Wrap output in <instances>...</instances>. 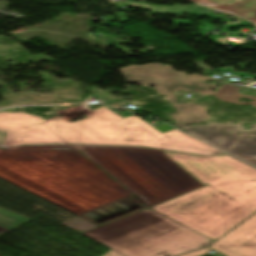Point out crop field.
Instances as JSON below:
<instances>
[{"instance_id":"crop-field-1","label":"crop field","mask_w":256,"mask_h":256,"mask_svg":"<svg viewBox=\"0 0 256 256\" xmlns=\"http://www.w3.org/2000/svg\"><path fill=\"white\" fill-rule=\"evenodd\" d=\"M163 152L206 187L151 209L214 241L256 212L255 168L229 155Z\"/></svg>"},{"instance_id":"crop-field-2","label":"crop field","mask_w":256,"mask_h":256,"mask_svg":"<svg viewBox=\"0 0 256 256\" xmlns=\"http://www.w3.org/2000/svg\"><path fill=\"white\" fill-rule=\"evenodd\" d=\"M85 116L69 123L57 116L43 121L23 113H1L0 131L7 133L2 144L127 145L200 155L222 153L176 129L162 134L138 116L122 118L104 107Z\"/></svg>"},{"instance_id":"crop-field-3","label":"crop field","mask_w":256,"mask_h":256,"mask_svg":"<svg viewBox=\"0 0 256 256\" xmlns=\"http://www.w3.org/2000/svg\"><path fill=\"white\" fill-rule=\"evenodd\" d=\"M82 235L125 256H174L213 242L149 208Z\"/></svg>"},{"instance_id":"crop-field-4","label":"crop field","mask_w":256,"mask_h":256,"mask_svg":"<svg viewBox=\"0 0 256 256\" xmlns=\"http://www.w3.org/2000/svg\"><path fill=\"white\" fill-rule=\"evenodd\" d=\"M174 107L178 112L172 114L176 126L256 166V127L249 131L242 130L243 124L185 127L183 125L206 121L205 110L195 104ZM185 111L192 114L186 115Z\"/></svg>"},{"instance_id":"crop-field-5","label":"crop field","mask_w":256,"mask_h":256,"mask_svg":"<svg viewBox=\"0 0 256 256\" xmlns=\"http://www.w3.org/2000/svg\"><path fill=\"white\" fill-rule=\"evenodd\" d=\"M126 80L130 83L143 86L153 85L159 94H165L171 103L177 102V98L172 91L190 90L200 94H212L213 84H201L198 80H210L209 77L199 75H184L175 72L171 66L160 64H146L143 66H129L120 69ZM193 80L194 83H191Z\"/></svg>"},{"instance_id":"crop-field-6","label":"crop field","mask_w":256,"mask_h":256,"mask_svg":"<svg viewBox=\"0 0 256 256\" xmlns=\"http://www.w3.org/2000/svg\"><path fill=\"white\" fill-rule=\"evenodd\" d=\"M124 1L126 2V7L143 8L151 14L189 13L219 19L212 16V9L215 7L222 10H232L244 18L256 23V0H192V2L198 6L168 7L152 6L146 3H136L126 0Z\"/></svg>"},{"instance_id":"crop-field-7","label":"crop field","mask_w":256,"mask_h":256,"mask_svg":"<svg viewBox=\"0 0 256 256\" xmlns=\"http://www.w3.org/2000/svg\"><path fill=\"white\" fill-rule=\"evenodd\" d=\"M208 247L226 256H256V213Z\"/></svg>"},{"instance_id":"crop-field-8","label":"crop field","mask_w":256,"mask_h":256,"mask_svg":"<svg viewBox=\"0 0 256 256\" xmlns=\"http://www.w3.org/2000/svg\"><path fill=\"white\" fill-rule=\"evenodd\" d=\"M240 89V87H234V86H229L226 84H223L221 86V88L214 94V96H216L217 98L224 100L226 102H231V103H237V104H256L255 103H243V102H239L237 100V97H247L251 100H255L256 101V97H250V96H244V95H240L237 94L238 90Z\"/></svg>"},{"instance_id":"crop-field-9","label":"crop field","mask_w":256,"mask_h":256,"mask_svg":"<svg viewBox=\"0 0 256 256\" xmlns=\"http://www.w3.org/2000/svg\"><path fill=\"white\" fill-rule=\"evenodd\" d=\"M11 213H12V212H11ZM11 213L6 212V211H3V210L0 209V216L6 217V218L11 219V220H14V221L19 222V223H21V224H23V223H25V222H27V221L30 220V219H27V218H24V217H20V216L11 214ZM0 221L12 225L11 227H9V226H7V225H4V224H1V223H0V226L5 227V228H7V229H9V230H11V229H13V228H15V227L21 225V224L15 223V222H13V221H10V220H7V219L1 218V217H0Z\"/></svg>"},{"instance_id":"crop-field-10","label":"crop field","mask_w":256,"mask_h":256,"mask_svg":"<svg viewBox=\"0 0 256 256\" xmlns=\"http://www.w3.org/2000/svg\"><path fill=\"white\" fill-rule=\"evenodd\" d=\"M199 68H202V69H207V70H211V71H226V72H235L233 71L234 68H220V69H212L210 68L208 65H206L205 63L201 62V63H197L196 64Z\"/></svg>"},{"instance_id":"crop-field-11","label":"crop field","mask_w":256,"mask_h":256,"mask_svg":"<svg viewBox=\"0 0 256 256\" xmlns=\"http://www.w3.org/2000/svg\"><path fill=\"white\" fill-rule=\"evenodd\" d=\"M209 250L210 249L206 248V249H202V250L195 251V252L188 253V254L181 255V256H200V255L206 254Z\"/></svg>"},{"instance_id":"crop-field-12","label":"crop field","mask_w":256,"mask_h":256,"mask_svg":"<svg viewBox=\"0 0 256 256\" xmlns=\"http://www.w3.org/2000/svg\"><path fill=\"white\" fill-rule=\"evenodd\" d=\"M103 256H123V255H121V254H119V253H117L113 250H110L106 254H104Z\"/></svg>"},{"instance_id":"crop-field-13","label":"crop field","mask_w":256,"mask_h":256,"mask_svg":"<svg viewBox=\"0 0 256 256\" xmlns=\"http://www.w3.org/2000/svg\"><path fill=\"white\" fill-rule=\"evenodd\" d=\"M172 23H176V24H189L190 21H176V20H172Z\"/></svg>"},{"instance_id":"crop-field-14","label":"crop field","mask_w":256,"mask_h":256,"mask_svg":"<svg viewBox=\"0 0 256 256\" xmlns=\"http://www.w3.org/2000/svg\"><path fill=\"white\" fill-rule=\"evenodd\" d=\"M243 26H251V25H254L248 21H245V22H242ZM237 27H242V26H237ZM233 28H236V27H233Z\"/></svg>"},{"instance_id":"crop-field-15","label":"crop field","mask_w":256,"mask_h":256,"mask_svg":"<svg viewBox=\"0 0 256 256\" xmlns=\"http://www.w3.org/2000/svg\"><path fill=\"white\" fill-rule=\"evenodd\" d=\"M241 74H243V75H245V76H252V77H256V75L245 74V73H241Z\"/></svg>"}]
</instances>
